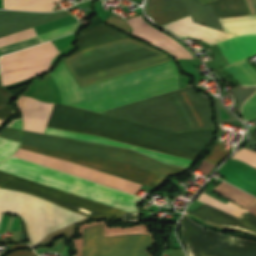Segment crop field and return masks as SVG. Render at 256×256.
Returning <instances> with one entry per match:
<instances>
[{"mask_svg": "<svg viewBox=\"0 0 256 256\" xmlns=\"http://www.w3.org/2000/svg\"><path fill=\"white\" fill-rule=\"evenodd\" d=\"M15 95L5 90L1 86L0 81V119L4 122L7 119L11 118L15 114H17L7 103L13 98ZM5 123V122H4Z\"/></svg>", "mask_w": 256, "mask_h": 256, "instance_id": "26", "label": "crop field"}, {"mask_svg": "<svg viewBox=\"0 0 256 256\" xmlns=\"http://www.w3.org/2000/svg\"><path fill=\"white\" fill-rule=\"evenodd\" d=\"M250 137L256 140V130L254 131V133Z\"/></svg>", "mask_w": 256, "mask_h": 256, "instance_id": "41", "label": "crop field"}, {"mask_svg": "<svg viewBox=\"0 0 256 256\" xmlns=\"http://www.w3.org/2000/svg\"><path fill=\"white\" fill-rule=\"evenodd\" d=\"M53 105L54 104H51V103L39 102L30 97L21 96L18 101V106H19V108L22 112V116H23V122H24L23 128L27 129V130H32V131L43 133ZM47 126L57 128V129H65V130L82 132V133L95 135V136H101V137H105V138L112 139L115 141H120V142H124V143H128V144H132V145H136V146H140V147H144V148H148V149H152V150H156V151L192 159V160H194L196 157L195 154H191V153H187V152H183V151H179V150H175V149H171V148H167V147H163V146H159V145H155V144H151V143H147V142H143V141H139V140L123 137V136H119L116 134H112V133L97 130V129L60 124V123H55V122H51V121L48 122ZM48 127H46V130L44 133L61 135V136H66V137H71V138H76V139H81V140H87V141H92V142L104 143V144L118 146V147H129L131 149L145 153L161 162L168 163V164H177V165L183 166L188 169L191 166V164L193 163L192 160L183 159V158H179V157H175V156H171V155H167V154H163V153H159V152H155V151H151V150H147V149H143V148H139V147H135V146L119 143V142H115V141L108 140V139L101 138V137H95V136H90V135L71 132V131L56 130V129L48 128Z\"/></svg>", "mask_w": 256, "mask_h": 256, "instance_id": "5", "label": "crop field"}, {"mask_svg": "<svg viewBox=\"0 0 256 256\" xmlns=\"http://www.w3.org/2000/svg\"><path fill=\"white\" fill-rule=\"evenodd\" d=\"M101 114L173 131L213 128L211 104L192 87L180 89ZM55 104L51 121L106 130L119 135L198 154L212 139L214 129L182 134Z\"/></svg>", "mask_w": 256, "mask_h": 256, "instance_id": "1", "label": "crop field"}, {"mask_svg": "<svg viewBox=\"0 0 256 256\" xmlns=\"http://www.w3.org/2000/svg\"><path fill=\"white\" fill-rule=\"evenodd\" d=\"M66 16L69 14L65 10L54 13L0 11V38Z\"/></svg>", "mask_w": 256, "mask_h": 256, "instance_id": "14", "label": "crop field"}, {"mask_svg": "<svg viewBox=\"0 0 256 256\" xmlns=\"http://www.w3.org/2000/svg\"><path fill=\"white\" fill-rule=\"evenodd\" d=\"M30 247L27 244L11 245L10 248Z\"/></svg>", "mask_w": 256, "mask_h": 256, "instance_id": "40", "label": "crop field"}, {"mask_svg": "<svg viewBox=\"0 0 256 256\" xmlns=\"http://www.w3.org/2000/svg\"><path fill=\"white\" fill-rule=\"evenodd\" d=\"M162 27L181 39L191 36L193 38L205 41L211 45L234 36L195 23L192 21L190 16L164 25Z\"/></svg>", "mask_w": 256, "mask_h": 256, "instance_id": "17", "label": "crop field"}, {"mask_svg": "<svg viewBox=\"0 0 256 256\" xmlns=\"http://www.w3.org/2000/svg\"><path fill=\"white\" fill-rule=\"evenodd\" d=\"M3 122L2 121H0V124H2Z\"/></svg>", "mask_w": 256, "mask_h": 256, "instance_id": "42", "label": "crop field"}, {"mask_svg": "<svg viewBox=\"0 0 256 256\" xmlns=\"http://www.w3.org/2000/svg\"><path fill=\"white\" fill-rule=\"evenodd\" d=\"M128 23L134 29L132 34L135 36L171 52L176 58H192L191 53L187 49L167 35L154 29L141 16L128 20Z\"/></svg>", "mask_w": 256, "mask_h": 256, "instance_id": "15", "label": "crop field"}, {"mask_svg": "<svg viewBox=\"0 0 256 256\" xmlns=\"http://www.w3.org/2000/svg\"><path fill=\"white\" fill-rule=\"evenodd\" d=\"M148 13L160 25L188 15L181 0H149Z\"/></svg>", "mask_w": 256, "mask_h": 256, "instance_id": "19", "label": "crop field"}, {"mask_svg": "<svg viewBox=\"0 0 256 256\" xmlns=\"http://www.w3.org/2000/svg\"><path fill=\"white\" fill-rule=\"evenodd\" d=\"M8 126L21 129V126H22L21 118L13 120Z\"/></svg>", "mask_w": 256, "mask_h": 256, "instance_id": "38", "label": "crop field"}, {"mask_svg": "<svg viewBox=\"0 0 256 256\" xmlns=\"http://www.w3.org/2000/svg\"><path fill=\"white\" fill-rule=\"evenodd\" d=\"M8 256H37L36 253L32 251H15Z\"/></svg>", "mask_w": 256, "mask_h": 256, "instance_id": "36", "label": "crop field"}, {"mask_svg": "<svg viewBox=\"0 0 256 256\" xmlns=\"http://www.w3.org/2000/svg\"><path fill=\"white\" fill-rule=\"evenodd\" d=\"M63 104L95 112L129 104L178 89L173 61L80 88L61 61L51 74Z\"/></svg>", "mask_w": 256, "mask_h": 256, "instance_id": "3", "label": "crop field"}, {"mask_svg": "<svg viewBox=\"0 0 256 256\" xmlns=\"http://www.w3.org/2000/svg\"><path fill=\"white\" fill-rule=\"evenodd\" d=\"M21 131L7 128L0 132V137L15 140L19 142Z\"/></svg>", "mask_w": 256, "mask_h": 256, "instance_id": "31", "label": "crop field"}, {"mask_svg": "<svg viewBox=\"0 0 256 256\" xmlns=\"http://www.w3.org/2000/svg\"><path fill=\"white\" fill-rule=\"evenodd\" d=\"M233 158L244 161L256 167V153L243 149L233 155Z\"/></svg>", "mask_w": 256, "mask_h": 256, "instance_id": "30", "label": "crop field"}, {"mask_svg": "<svg viewBox=\"0 0 256 256\" xmlns=\"http://www.w3.org/2000/svg\"><path fill=\"white\" fill-rule=\"evenodd\" d=\"M229 64L256 54V35L235 37L218 43Z\"/></svg>", "mask_w": 256, "mask_h": 256, "instance_id": "20", "label": "crop field"}, {"mask_svg": "<svg viewBox=\"0 0 256 256\" xmlns=\"http://www.w3.org/2000/svg\"><path fill=\"white\" fill-rule=\"evenodd\" d=\"M3 211L19 214L24 219L32 245L48 233L85 218L37 196L0 189V219Z\"/></svg>", "mask_w": 256, "mask_h": 256, "instance_id": "6", "label": "crop field"}, {"mask_svg": "<svg viewBox=\"0 0 256 256\" xmlns=\"http://www.w3.org/2000/svg\"><path fill=\"white\" fill-rule=\"evenodd\" d=\"M19 143L11 140L0 138V161L8 158L11 154H13Z\"/></svg>", "mask_w": 256, "mask_h": 256, "instance_id": "27", "label": "crop field"}, {"mask_svg": "<svg viewBox=\"0 0 256 256\" xmlns=\"http://www.w3.org/2000/svg\"><path fill=\"white\" fill-rule=\"evenodd\" d=\"M78 29V22L71 24V25H67L49 32H45L42 34H39V37L41 39V41H46L61 35H65L74 31H77ZM36 35V32L34 30V28L17 33V34H13L4 38L0 39V46L17 41V40H21L30 36ZM40 43V40L38 38V36H33L18 42H14L5 46L0 47V55L18 50V49H22L34 44Z\"/></svg>", "mask_w": 256, "mask_h": 256, "instance_id": "18", "label": "crop field"}, {"mask_svg": "<svg viewBox=\"0 0 256 256\" xmlns=\"http://www.w3.org/2000/svg\"><path fill=\"white\" fill-rule=\"evenodd\" d=\"M242 116L245 120L256 118V94L244 103L242 107Z\"/></svg>", "mask_w": 256, "mask_h": 256, "instance_id": "28", "label": "crop field"}, {"mask_svg": "<svg viewBox=\"0 0 256 256\" xmlns=\"http://www.w3.org/2000/svg\"><path fill=\"white\" fill-rule=\"evenodd\" d=\"M251 14H256V0H253V6H254V12H253V6H252V0H245Z\"/></svg>", "mask_w": 256, "mask_h": 256, "instance_id": "37", "label": "crop field"}, {"mask_svg": "<svg viewBox=\"0 0 256 256\" xmlns=\"http://www.w3.org/2000/svg\"><path fill=\"white\" fill-rule=\"evenodd\" d=\"M125 36L118 33L106 26L100 25L92 28H88L83 34H81V39L78 43L80 49L86 48L92 45H96L102 42H106L112 39Z\"/></svg>", "mask_w": 256, "mask_h": 256, "instance_id": "21", "label": "crop field"}, {"mask_svg": "<svg viewBox=\"0 0 256 256\" xmlns=\"http://www.w3.org/2000/svg\"><path fill=\"white\" fill-rule=\"evenodd\" d=\"M20 148L80 164L92 169H96L105 173H109L144 185H148L153 188L162 179V177H159L155 174H152L124 162L101 159L23 144L20 145Z\"/></svg>", "mask_w": 256, "mask_h": 256, "instance_id": "11", "label": "crop field"}, {"mask_svg": "<svg viewBox=\"0 0 256 256\" xmlns=\"http://www.w3.org/2000/svg\"><path fill=\"white\" fill-rule=\"evenodd\" d=\"M204 7H205L207 13L209 14L211 20L213 21V23H214L216 29L221 30V31H224L223 28H222V26H221V24H220V22H219V20H218V18H217L216 15H215V13H214V11H213V9H212L210 3L204 4Z\"/></svg>", "mask_w": 256, "mask_h": 256, "instance_id": "33", "label": "crop field"}, {"mask_svg": "<svg viewBox=\"0 0 256 256\" xmlns=\"http://www.w3.org/2000/svg\"><path fill=\"white\" fill-rule=\"evenodd\" d=\"M21 143L128 162L164 178L185 169L166 165L126 148L110 147L23 131Z\"/></svg>", "mask_w": 256, "mask_h": 256, "instance_id": "7", "label": "crop field"}, {"mask_svg": "<svg viewBox=\"0 0 256 256\" xmlns=\"http://www.w3.org/2000/svg\"><path fill=\"white\" fill-rule=\"evenodd\" d=\"M105 22L110 24V25H113L115 27L121 28L125 31L131 29L130 26L127 24V22H125V21H123L119 18H116L112 15Z\"/></svg>", "mask_w": 256, "mask_h": 256, "instance_id": "32", "label": "crop field"}, {"mask_svg": "<svg viewBox=\"0 0 256 256\" xmlns=\"http://www.w3.org/2000/svg\"><path fill=\"white\" fill-rule=\"evenodd\" d=\"M0 172L70 193L123 211L137 212L141 198L11 157L0 162ZM0 173V187L37 195L90 218H121L120 210ZM30 194V195H31Z\"/></svg>", "mask_w": 256, "mask_h": 256, "instance_id": "2", "label": "crop field"}, {"mask_svg": "<svg viewBox=\"0 0 256 256\" xmlns=\"http://www.w3.org/2000/svg\"><path fill=\"white\" fill-rule=\"evenodd\" d=\"M198 200L202 201V202H205L211 206H214L218 209H221L227 213H230L236 217H238L239 215H241L243 212H245L246 210L242 209L241 207L235 205L234 203L232 202H228V204H224L206 194H201L198 198Z\"/></svg>", "mask_w": 256, "mask_h": 256, "instance_id": "25", "label": "crop field"}, {"mask_svg": "<svg viewBox=\"0 0 256 256\" xmlns=\"http://www.w3.org/2000/svg\"><path fill=\"white\" fill-rule=\"evenodd\" d=\"M222 144L218 143L215 145V147L211 150V155L206 157L205 160L214 163V164H218L227 154L231 153V149L233 147H231L228 151L222 149Z\"/></svg>", "mask_w": 256, "mask_h": 256, "instance_id": "29", "label": "crop field"}, {"mask_svg": "<svg viewBox=\"0 0 256 256\" xmlns=\"http://www.w3.org/2000/svg\"><path fill=\"white\" fill-rule=\"evenodd\" d=\"M199 167L203 171V173L208 174L215 167V165L208 163L206 161H203Z\"/></svg>", "mask_w": 256, "mask_h": 256, "instance_id": "34", "label": "crop field"}, {"mask_svg": "<svg viewBox=\"0 0 256 256\" xmlns=\"http://www.w3.org/2000/svg\"><path fill=\"white\" fill-rule=\"evenodd\" d=\"M83 231L82 256H149L145 252L151 245L147 233L103 237V224L86 227Z\"/></svg>", "mask_w": 256, "mask_h": 256, "instance_id": "9", "label": "crop field"}, {"mask_svg": "<svg viewBox=\"0 0 256 256\" xmlns=\"http://www.w3.org/2000/svg\"><path fill=\"white\" fill-rule=\"evenodd\" d=\"M63 60L82 86L171 59L154 48L126 37L80 50Z\"/></svg>", "mask_w": 256, "mask_h": 256, "instance_id": "4", "label": "crop field"}, {"mask_svg": "<svg viewBox=\"0 0 256 256\" xmlns=\"http://www.w3.org/2000/svg\"><path fill=\"white\" fill-rule=\"evenodd\" d=\"M218 18L250 15L243 0H218L211 3ZM225 32L234 35L256 34V16L219 19Z\"/></svg>", "mask_w": 256, "mask_h": 256, "instance_id": "13", "label": "crop field"}, {"mask_svg": "<svg viewBox=\"0 0 256 256\" xmlns=\"http://www.w3.org/2000/svg\"><path fill=\"white\" fill-rule=\"evenodd\" d=\"M213 190L219 192L220 194L226 196L227 198L231 199L232 201L238 203L245 208L256 201V198L236 189L235 187L225 182L221 183Z\"/></svg>", "mask_w": 256, "mask_h": 256, "instance_id": "24", "label": "crop field"}, {"mask_svg": "<svg viewBox=\"0 0 256 256\" xmlns=\"http://www.w3.org/2000/svg\"><path fill=\"white\" fill-rule=\"evenodd\" d=\"M57 1L61 0H3L4 9L30 11H53Z\"/></svg>", "mask_w": 256, "mask_h": 256, "instance_id": "22", "label": "crop field"}, {"mask_svg": "<svg viewBox=\"0 0 256 256\" xmlns=\"http://www.w3.org/2000/svg\"><path fill=\"white\" fill-rule=\"evenodd\" d=\"M51 41L0 58L3 85L48 71L51 59L58 54Z\"/></svg>", "mask_w": 256, "mask_h": 256, "instance_id": "10", "label": "crop field"}, {"mask_svg": "<svg viewBox=\"0 0 256 256\" xmlns=\"http://www.w3.org/2000/svg\"><path fill=\"white\" fill-rule=\"evenodd\" d=\"M182 237L190 256H256V243L204 231L186 215L182 221Z\"/></svg>", "mask_w": 256, "mask_h": 256, "instance_id": "8", "label": "crop field"}, {"mask_svg": "<svg viewBox=\"0 0 256 256\" xmlns=\"http://www.w3.org/2000/svg\"><path fill=\"white\" fill-rule=\"evenodd\" d=\"M138 213H124L123 222H136Z\"/></svg>", "mask_w": 256, "mask_h": 256, "instance_id": "35", "label": "crop field"}, {"mask_svg": "<svg viewBox=\"0 0 256 256\" xmlns=\"http://www.w3.org/2000/svg\"><path fill=\"white\" fill-rule=\"evenodd\" d=\"M204 220L256 234V216L245 212L238 218L203 203L198 209L188 212Z\"/></svg>", "mask_w": 256, "mask_h": 256, "instance_id": "16", "label": "crop field"}, {"mask_svg": "<svg viewBox=\"0 0 256 256\" xmlns=\"http://www.w3.org/2000/svg\"><path fill=\"white\" fill-rule=\"evenodd\" d=\"M246 210L256 214V203L253 204L252 206L248 207Z\"/></svg>", "mask_w": 256, "mask_h": 256, "instance_id": "39", "label": "crop field"}, {"mask_svg": "<svg viewBox=\"0 0 256 256\" xmlns=\"http://www.w3.org/2000/svg\"><path fill=\"white\" fill-rule=\"evenodd\" d=\"M15 156L28 159L52 168H56L80 177H84L108 186H112L130 193L135 194L141 185L126 181L108 174H104L86 167H82L70 162L55 159L38 153L30 152L23 149H18Z\"/></svg>", "mask_w": 256, "mask_h": 256, "instance_id": "12", "label": "crop field"}, {"mask_svg": "<svg viewBox=\"0 0 256 256\" xmlns=\"http://www.w3.org/2000/svg\"><path fill=\"white\" fill-rule=\"evenodd\" d=\"M242 85H256V70L245 60L224 67Z\"/></svg>", "mask_w": 256, "mask_h": 256, "instance_id": "23", "label": "crop field"}]
</instances>
